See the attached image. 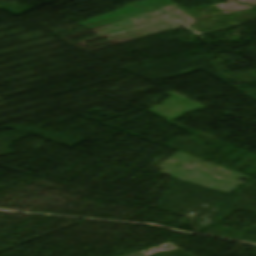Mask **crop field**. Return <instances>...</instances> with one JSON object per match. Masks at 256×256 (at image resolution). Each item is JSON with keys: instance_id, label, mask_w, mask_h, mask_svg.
<instances>
[{"instance_id": "obj_1", "label": "crop field", "mask_w": 256, "mask_h": 256, "mask_svg": "<svg viewBox=\"0 0 256 256\" xmlns=\"http://www.w3.org/2000/svg\"><path fill=\"white\" fill-rule=\"evenodd\" d=\"M174 248H176V247L168 244V245L160 246V247H157V248H153V249H150V250L142 251V252L135 253V254L128 255V256H150V255H152V254H154L156 252L170 251V250H172Z\"/></svg>"}]
</instances>
